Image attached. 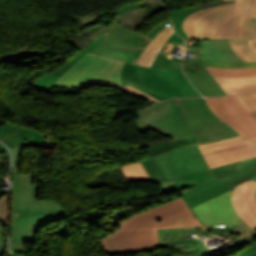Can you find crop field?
<instances>
[{
  "instance_id": "crop-field-18",
  "label": "crop field",
  "mask_w": 256,
  "mask_h": 256,
  "mask_svg": "<svg viewBox=\"0 0 256 256\" xmlns=\"http://www.w3.org/2000/svg\"><path fill=\"white\" fill-rule=\"evenodd\" d=\"M236 13L235 7L211 12L197 20L195 38H214L219 25Z\"/></svg>"
},
{
  "instance_id": "crop-field-12",
  "label": "crop field",
  "mask_w": 256,
  "mask_h": 256,
  "mask_svg": "<svg viewBox=\"0 0 256 256\" xmlns=\"http://www.w3.org/2000/svg\"><path fill=\"white\" fill-rule=\"evenodd\" d=\"M256 182L245 181L233 190L232 205L237 215L256 230Z\"/></svg>"
},
{
  "instance_id": "crop-field-10",
  "label": "crop field",
  "mask_w": 256,
  "mask_h": 256,
  "mask_svg": "<svg viewBox=\"0 0 256 256\" xmlns=\"http://www.w3.org/2000/svg\"><path fill=\"white\" fill-rule=\"evenodd\" d=\"M205 99L211 110L240 132L244 140L256 137V122L236 95Z\"/></svg>"
},
{
  "instance_id": "crop-field-23",
  "label": "crop field",
  "mask_w": 256,
  "mask_h": 256,
  "mask_svg": "<svg viewBox=\"0 0 256 256\" xmlns=\"http://www.w3.org/2000/svg\"><path fill=\"white\" fill-rule=\"evenodd\" d=\"M174 246L182 255L180 256H204L205 253H210L206 249L203 242L199 239L183 240L159 245V249L163 247Z\"/></svg>"
},
{
  "instance_id": "crop-field-40",
  "label": "crop field",
  "mask_w": 256,
  "mask_h": 256,
  "mask_svg": "<svg viewBox=\"0 0 256 256\" xmlns=\"http://www.w3.org/2000/svg\"><path fill=\"white\" fill-rule=\"evenodd\" d=\"M117 88L122 90V91H124V92H126V93H128V94H130V95H134V96H138V97H142V98L158 101V100H156V99H154V98H152V97H150V96H148V95H146V94H144V93H142V92H140V91H138V90H136V89H134V88H132L130 86L117 87Z\"/></svg>"
},
{
  "instance_id": "crop-field-7",
  "label": "crop field",
  "mask_w": 256,
  "mask_h": 256,
  "mask_svg": "<svg viewBox=\"0 0 256 256\" xmlns=\"http://www.w3.org/2000/svg\"><path fill=\"white\" fill-rule=\"evenodd\" d=\"M235 6L237 13L223 22L216 32L220 39H256V0H236L235 3L199 10L188 15L183 28L188 38H194L196 20L213 10Z\"/></svg>"
},
{
  "instance_id": "crop-field-1",
  "label": "crop field",
  "mask_w": 256,
  "mask_h": 256,
  "mask_svg": "<svg viewBox=\"0 0 256 256\" xmlns=\"http://www.w3.org/2000/svg\"><path fill=\"white\" fill-rule=\"evenodd\" d=\"M198 226L200 222L179 197L135 214L100 240L110 255L151 251L158 249L157 229Z\"/></svg>"
},
{
  "instance_id": "crop-field-24",
  "label": "crop field",
  "mask_w": 256,
  "mask_h": 256,
  "mask_svg": "<svg viewBox=\"0 0 256 256\" xmlns=\"http://www.w3.org/2000/svg\"><path fill=\"white\" fill-rule=\"evenodd\" d=\"M210 234V233H209ZM203 227L187 229H167L158 230L159 244L171 241L183 240V236L191 235H209Z\"/></svg>"
},
{
  "instance_id": "crop-field-3",
  "label": "crop field",
  "mask_w": 256,
  "mask_h": 256,
  "mask_svg": "<svg viewBox=\"0 0 256 256\" xmlns=\"http://www.w3.org/2000/svg\"><path fill=\"white\" fill-rule=\"evenodd\" d=\"M135 113L139 117L136 128L141 134L152 129L175 140L148 147L149 156L197 143L178 99L163 101Z\"/></svg>"
},
{
  "instance_id": "crop-field-42",
  "label": "crop field",
  "mask_w": 256,
  "mask_h": 256,
  "mask_svg": "<svg viewBox=\"0 0 256 256\" xmlns=\"http://www.w3.org/2000/svg\"><path fill=\"white\" fill-rule=\"evenodd\" d=\"M169 25H171L170 19L167 20V21H165V22H163V23H161V24H159V25H157V26L147 35V37L153 39V38L155 37V35H156L159 31H161L162 29H164L165 27H167V26H169Z\"/></svg>"
},
{
  "instance_id": "crop-field-19",
  "label": "crop field",
  "mask_w": 256,
  "mask_h": 256,
  "mask_svg": "<svg viewBox=\"0 0 256 256\" xmlns=\"http://www.w3.org/2000/svg\"><path fill=\"white\" fill-rule=\"evenodd\" d=\"M217 177L214 175V173L210 170H205L197 173H192L188 175L181 176L175 180H172L170 182H162V189L163 194L181 190L185 188H189L201 183H205L208 181L216 180Z\"/></svg>"
},
{
  "instance_id": "crop-field-6",
  "label": "crop field",
  "mask_w": 256,
  "mask_h": 256,
  "mask_svg": "<svg viewBox=\"0 0 256 256\" xmlns=\"http://www.w3.org/2000/svg\"><path fill=\"white\" fill-rule=\"evenodd\" d=\"M124 63L87 53L76 65L63 74L54 86L81 87L82 85L105 84L122 86L120 73Z\"/></svg>"
},
{
  "instance_id": "crop-field-11",
  "label": "crop field",
  "mask_w": 256,
  "mask_h": 256,
  "mask_svg": "<svg viewBox=\"0 0 256 256\" xmlns=\"http://www.w3.org/2000/svg\"><path fill=\"white\" fill-rule=\"evenodd\" d=\"M231 192L232 190L192 208L204 225H240L244 223L232 208Z\"/></svg>"
},
{
  "instance_id": "crop-field-28",
  "label": "crop field",
  "mask_w": 256,
  "mask_h": 256,
  "mask_svg": "<svg viewBox=\"0 0 256 256\" xmlns=\"http://www.w3.org/2000/svg\"><path fill=\"white\" fill-rule=\"evenodd\" d=\"M232 50L244 62L256 61V53L248 46V40L228 41Z\"/></svg>"
},
{
  "instance_id": "crop-field-41",
  "label": "crop field",
  "mask_w": 256,
  "mask_h": 256,
  "mask_svg": "<svg viewBox=\"0 0 256 256\" xmlns=\"http://www.w3.org/2000/svg\"><path fill=\"white\" fill-rule=\"evenodd\" d=\"M256 236V235H255ZM255 236L241 242V243H238V244H230L228 247H226L225 249H230V248H236V247H240L242 245H248L249 247H251L252 245L256 244V242L254 241V238ZM222 250L221 252H219L220 254H223V253H226L227 251L226 250Z\"/></svg>"
},
{
  "instance_id": "crop-field-15",
  "label": "crop field",
  "mask_w": 256,
  "mask_h": 256,
  "mask_svg": "<svg viewBox=\"0 0 256 256\" xmlns=\"http://www.w3.org/2000/svg\"><path fill=\"white\" fill-rule=\"evenodd\" d=\"M181 175L208 169L197 145L169 151Z\"/></svg>"
},
{
  "instance_id": "crop-field-2",
  "label": "crop field",
  "mask_w": 256,
  "mask_h": 256,
  "mask_svg": "<svg viewBox=\"0 0 256 256\" xmlns=\"http://www.w3.org/2000/svg\"><path fill=\"white\" fill-rule=\"evenodd\" d=\"M32 178L13 173L10 241L33 242L37 228L70 216L55 201L36 200L40 185H32Z\"/></svg>"
},
{
  "instance_id": "crop-field-26",
  "label": "crop field",
  "mask_w": 256,
  "mask_h": 256,
  "mask_svg": "<svg viewBox=\"0 0 256 256\" xmlns=\"http://www.w3.org/2000/svg\"><path fill=\"white\" fill-rule=\"evenodd\" d=\"M130 182L153 183L140 161L122 167Z\"/></svg>"
},
{
  "instance_id": "crop-field-49",
  "label": "crop field",
  "mask_w": 256,
  "mask_h": 256,
  "mask_svg": "<svg viewBox=\"0 0 256 256\" xmlns=\"http://www.w3.org/2000/svg\"><path fill=\"white\" fill-rule=\"evenodd\" d=\"M0 152H3V153H8V150L0 143Z\"/></svg>"
},
{
  "instance_id": "crop-field-9",
  "label": "crop field",
  "mask_w": 256,
  "mask_h": 256,
  "mask_svg": "<svg viewBox=\"0 0 256 256\" xmlns=\"http://www.w3.org/2000/svg\"><path fill=\"white\" fill-rule=\"evenodd\" d=\"M150 41L144 35L119 25L91 53L135 63Z\"/></svg>"
},
{
  "instance_id": "crop-field-27",
  "label": "crop field",
  "mask_w": 256,
  "mask_h": 256,
  "mask_svg": "<svg viewBox=\"0 0 256 256\" xmlns=\"http://www.w3.org/2000/svg\"><path fill=\"white\" fill-rule=\"evenodd\" d=\"M154 159L165 174L168 181L181 176L174 163L172 162L168 152L156 155L154 156Z\"/></svg>"
},
{
  "instance_id": "crop-field-16",
  "label": "crop field",
  "mask_w": 256,
  "mask_h": 256,
  "mask_svg": "<svg viewBox=\"0 0 256 256\" xmlns=\"http://www.w3.org/2000/svg\"><path fill=\"white\" fill-rule=\"evenodd\" d=\"M232 188H234V187H232L220 180H217V181L205 183L202 185H198L196 187L190 188V189H188L184 192H181L179 194L183 198L185 203L191 209L195 205H197L201 202H204L206 200H209V199H211L219 194H222ZM196 217H197V215H196ZM198 220H199V218H198ZM203 227H204V225H203Z\"/></svg>"
},
{
  "instance_id": "crop-field-43",
  "label": "crop field",
  "mask_w": 256,
  "mask_h": 256,
  "mask_svg": "<svg viewBox=\"0 0 256 256\" xmlns=\"http://www.w3.org/2000/svg\"><path fill=\"white\" fill-rule=\"evenodd\" d=\"M13 154V172H16L19 164V155L21 147L10 148Z\"/></svg>"
},
{
  "instance_id": "crop-field-22",
  "label": "crop field",
  "mask_w": 256,
  "mask_h": 256,
  "mask_svg": "<svg viewBox=\"0 0 256 256\" xmlns=\"http://www.w3.org/2000/svg\"><path fill=\"white\" fill-rule=\"evenodd\" d=\"M206 230L212 234L220 235L227 240L234 241H241L255 233L254 229L245 223L240 226H206Z\"/></svg>"
},
{
  "instance_id": "crop-field-8",
  "label": "crop field",
  "mask_w": 256,
  "mask_h": 256,
  "mask_svg": "<svg viewBox=\"0 0 256 256\" xmlns=\"http://www.w3.org/2000/svg\"><path fill=\"white\" fill-rule=\"evenodd\" d=\"M179 100L199 144L239 135L208 109L204 98Z\"/></svg>"
},
{
  "instance_id": "crop-field-46",
  "label": "crop field",
  "mask_w": 256,
  "mask_h": 256,
  "mask_svg": "<svg viewBox=\"0 0 256 256\" xmlns=\"http://www.w3.org/2000/svg\"><path fill=\"white\" fill-rule=\"evenodd\" d=\"M58 78L54 77L45 87L44 89L42 90L43 92H47V93H50V91L52 90L53 88V84L56 82Z\"/></svg>"
},
{
  "instance_id": "crop-field-37",
  "label": "crop field",
  "mask_w": 256,
  "mask_h": 256,
  "mask_svg": "<svg viewBox=\"0 0 256 256\" xmlns=\"http://www.w3.org/2000/svg\"><path fill=\"white\" fill-rule=\"evenodd\" d=\"M205 65L208 66H216V67H223V68H251L256 67V62H249V63H235V64H227V63H213V62H206L203 61Z\"/></svg>"
},
{
  "instance_id": "crop-field-44",
  "label": "crop field",
  "mask_w": 256,
  "mask_h": 256,
  "mask_svg": "<svg viewBox=\"0 0 256 256\" xmlns=\"http://www.w3.org/2000/svg\"><path fill=\"white\" fill-rule=\"evenodd\" d=\"M102 16V15H98V16H80L82 19V22L84 24L85 27L95 23L97 21V19Z\"/></svg>"
},
{
  "instance_id": "crop-field-34",
  "label": "crop field",
  "mask_w": 256,
  "mask_h": 256,
  "mask_svg": "<svg viewBox=\"0 0 256 256\" xmlns=\"http://www.w3.org/2000/svg\"><path fill=\"white\" fill-rule=\"evenodd\" d=\"M46 54L45 51L42 50H30V51H24V52H19V53H13V54H7V55H2L3 59L6 62L10 61H15V60H21V59H26L30 57H35L39 55Z\"/></svg>"
},
{
  "instance_id": "crop-field-25",
  "label": "crop field",
  "mask_w": 256,
  "mask_h": 256,
  "mask_svg": "<svg viewBox=\"0 0 256 256\" xmlns=\"http://www.w3.org/2000/svg\"><path fill=\"white\" fill-rule=\"evenodd\" d=\"M137 66L136 64H132V63H128L126 62L124 67H123V70H122V73H121V81H122V84L123 86H126V85H130L160 101L162 100H166L162 97H160L159 95L147 90L145 87H143L140 82L138 81L137 77H136V71H137Z\"/></svg>"
},
{
  "instance_id": "crop-field-4",
  "label": "crop field",
  "mask_w": 256,
  "mask_h": 256,
  "mask_svg": "<svg viewBox=\"0 0 256 256\" xmlns=\"http://www.w3.org/2000/svg\"><path fill=\"white\" fill-rule=\"evenodd\" d=\"M183 44L184 41L174 33L161 50L166 55L158 54L150 68L139 65L137 76L141 84L167 99L201 96L183 75L180 63L170 54Z\"/></svg>"
},
{
  "instance_id": "crop-field-47",
  "label": "crop field",
  "mask_w": 256,
  "mask_h": 256,
  "mask_svg": "<svg viewBox=\"0 0 256 256\" xmlns=\"http://www.w3.org/2000/svg\"><path fill=\"white\" fill-rule=\"evenodd\" d=\"M103 38H98L95 40L85 51H92L94 47L102 40Z\"/></svg>"
},
{
  "instance_id": "crop-field-48",
  "label": "crop field",
  "mask_w": 256,
  "mask_h": 256,
  "mask_svg": "<svg viewBox=\"0 0 256 256\" xmlns=\"http://www.w3.org/2000/svg\"><path fill=\"white\" fill-rule=\"evenodd\" d=\"M249 45L256 52V40H249Z\"/></svg>"
},
{
  "instance_id": "crop-field-14",
  "label": "crop field",
  "mask_w": 256,
  "mask_h": 256,
  "mask_svg": "<svg viewBox=\"0 0 256 256\" xmlns=\"http://www.w3.org/2000/svg\"><path fill=\"white\" fill-rule=\"evenodd\" d=\"M212 171L218 179L234 187L247 179L256 181V157L213 168Z\"/></svg>"
},
{
  "instance_id": "crop-field-30",
  "label": "crop field",
  "mask_w": 256,
  "mask_h": 256,
  "mask_svg": "<svg viewBox=\"0 0 256 256\" xmlns=\"http://www.w3.org/2000/svg\"><path fill=\"white\" fill-rule=\"evenodd\" d=\"M212 76H251L256 75V68L251 69H223L206 66ZM232 73V74H230Z\"/></svg>"
},
{
  "instance_id": "crop-field-13",
  "label": "crop field",
  "mask_w": 256,
  "mask_h": 256,
  "mask_svg": "<svg viewBox=\"0 0 256 256\" xmlns=\"http://www.w3.org/2000/svg\"><path fill=\"white\" fill-rule=\"evenodd\" d=\"M0 139L9 147H38L44 148L46 140L44 136L37 131L17 127L6 123L0 127Z\"/></svg>"
},
{
  "instance_id": "crop-field-36",
  "label": "crop field",
  "mask_w": 256,
  "mask_h": 256,
  "mask_svg": "<svg viewBox=\"0 0 256 256\" xmlns=\"http://www.w3.org/2000/svg\"><path fill=\"white\" fill-rule=\"evenodd\" d=\"M85 52L79 51L76 53L70 60L65 62L63 65L58 67L56 70L51 72L50 74L59 77L61 74H63L67 69H69L71 66H73L84 54Z\"/></svg>"
},
{
  "instance_id": "crop-field-45",
  "label": "crop field",
  "mask_w": 256,
  "mask_h": 256,
  "mask_svg": "<svg viewBox=\"0 0 256 256\" xmlns=\"http://www.w3.org/2000/svg\"><path fill=\"white\" fill-rule=\"evenodd\" d=\"M236 256H256V245L249 249H245L244 251L236 254Z\"/></svg>"
},
{
  "instance_id": "crop-field-39",
  "label": "crop field",
  "mask_w": 256,
  "mask_h": 256,
  "mask_svg": "<svg viewBox=\"0 0 256 256\" xmlns=\"http://www.w3.org/2000/svg\"><path fill=\"white\" fill-rule=\"evenodd\" d=\"M54 76L50 75V74H45L43 76H41L40 78H38L37 80H35L34 82H32L34 89L37 90H42L43 87L53 78Z\"/></svg>"
},
{
  "instance_id": "crop-field-5",
  "label": "crop field",
  "mask_w": 256,
  "mask_h": 256,
  "mask_svg": "<svg viewBox=\"0 0 256 256\" xmlns=\"http://www.w3.org/2000/svg\"><path fill=\"white\" fill-rule=\"evenodd\" d=\"M185 49L193 50V53L191 59H188V63H182L183 71L198 90L204 96L227 95L204 67L202 60L228 63L243 62L233 53L228 42L224 40H201V47L186 46Z\"/></svg>"
},
{
  "instance_id": "crop-field-50",
  "label": "crop field",
  "mask_w": 256,
  "mask_h": 256,
  "mask_svg": "<svg viewBox=\"0 0 256 256\" xmlns=\"http://www.w3.org/2000/svg\"><path fill=\"white\" fill-rule=\"evenodd\" d=\"M246 142H247L248 145L256 144V138L251 139V140H247Z\"/></svg>"
},
{
  "instance_id": "crop-field-38",
  "label": "crop field",
  "mask_w": 256,
  "mask_h": 256,
  "mask_svg": "<svg viewBox=\"0 0 256 256\" xmlns=\"http://www.w3.org/2000/svg\"><path fill=\"white\" fill-rule=\"evenodd\" d=\"M8 194L0 198V221L7 227Z\"/></svg>"
},
{
  "instance_id": "crop-field-31",
  "label": "crop field",
  "mask_w": 256,
  "mask_h": 256,
  "mask_svg": "<svg viewBox=\"0 0 256 256\" xmlns=\"http://www.w3.org/2000/svg\"><path fill=\"white\" fill-rule=\"evenodd\" d=\"M194 10L192 8L187 9H179V10H172L170 11L174 30L183 38H187L186 34L182 29V22L184 18Z\"/></svg>"
},
{
  "instance_id": "crop-field-51",
  "label": "crop field",
  "mask_w": 256,
  "mask_h": 256,
  "mask_svg": "<svg viewBox=\"0 0 256 256\" xmlns=\"http://www.w3.org/2000/svg\"><path fill=\"white\" fill-rule=\"evenodd\" d=\"M10 256H27V254H14V253H10Z\"/></svg>"
},
{
  "instance_id": "crop-field-29",
  "label": "crop field",
  "mask_w": 256,
  "mask_h": 256,
  "mask_svg": "<svg viewBox=\"0 0 256 256\" xmlns=\"http://www.w3.org/2000/svg\"><path fill=\"white\" fill-rule=\"evenodd\" d=\"M244 143L246 142L243 140V138L240 135L237 137H233V138H229V139H225V140H221V141H217V142H213L205 145H198V146L201 152L204 153V152L220 150V149H224V148H228V147H232V146H236Z\"/></svg>"
},
{
  "instance_id": "crop-field-17",
  "label": "crop field",
  "mask_w": 256,
  "mask_h": 256,
  "mask_svg": "<svg viewBox=\"0 0 256 256\" xmlns=\"http://www.w3.org/2000/svg\"><path fill=\"white\" fill-rule=\"evenodd\" d=\"M203 156L210 169L256 156V145L248 146L245 144L225 150L204 153Z\"/></svg>"
},
{
  "instance_id": "crop-field-21",
  "label": "crop field",
  "mask_w": 256,
  "mask_h": 256,
  "mask_svg": "<svg viewBox=\"0 0 256 256\" xmlns=\"http://www.w3.org/2000/svg\"><path fill=\"white\" fill-rule=\"evenodd\" d=\"M172 33H174L172 26H169L159 32L142 52L136 63L150 67L157 54L160 52L162 46L165 44Z\"/></svg>"
},
{
  "instance_id": "crop-field-32",
  "label": "crop field",
  "mask_w": 256,
  "mask_h": 256,
  "mask_svg": "<svg viewBox=\"0 0 256 256\" xmlns=\"http://www.w3.org/2000/svg\"><path fill=\"white\" fill-rule=\"evenodd\" d=\"M142 164L144 165L145 169L149 173L150 177L152 178L153 182H161V181H167L164 174L156 164L153 157L142 160Z\"/></svg>"
},
{
  "instance_id": "crop-field-35",
  "label": "crop field",
  "mask_w": 256,
  "mask_h": 256,
  "mask_svg": "<svg viewBox=\"0 0 256 256\" xmlns=\"http://www.w3.org/2000/svg\"><path fill=\"white\" fill-rule=\"evenodd\" d=\"M253 118L256 120V95L255 93L237 95Z\"/></svg>"
},
{
  "instance_id": "crop-field-33",
  "label": "crop field",
  "mask_w": 256,
  "mask_h": 256,
  "mask_svg": "<svg viewBox=\"0 0 256 256\" xmlns=\"http://www.w3.org/2000/svg\"><path fill=\"white\" fill-rule=\"evenodd\" d=\"M121 17L119 14H117V17L115 19V23L109 27H105L102 25H97L94 27H91L87 30L82 31V33H84L86 36L92 38V39H96L98 38L99 35H106L108 32H110L114 27H116L120 21Z\"/></svg>"
},
{
  "instance_id": "crop-field-20",
  "label": "crop field",
  "mask_w": 256,
  "mask_h": 256,
  "mask_svg": "<svg viewBox=\"0 0 256 256\" xmlns=\"http://www.w3.org/2000/svg\"><path fill=\"white\" fill-rule=\"evenodd\" d=\"M214 78L227 94H238L256 91V76Z\"/></svg>"
}]
</instances>
